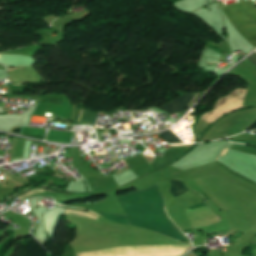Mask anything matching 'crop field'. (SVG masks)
I'll use <instances>...</instances> for the list:
<instances>
[{
    "mask_svg": "<svg viewBox=\"0 0 256 256\" xmlns=\"http://www.w3.org/2000/svg\"><path fill=\"white\" fill-rule=\"evenodd\" d=\"M117 198L129 224L146 227L179 240L190 242L177 230L164 213L163 198L156 184H153L150 188Z\"/></svg>",
    "mask_w": 256,
    "mask_h": 256,
    "instance_id": "crop-field-1",
    "label": "crop field"
},
{
    "mask_svg": "<svg viewBox=\"0 0 256 256\" xmlns=\"http://www.w3.org/2000/svg\"><path fill=\"white\" fill-rule=\"evenodd\" d=\"M238 32L256 46V7L246 0L223 9Z\"/></svg>",
    "mask_w": 256,
    "mask_h": 256,
    "instance_id": "crop-field-2",
    "label": "crop field"
},
{
    "mask_svg": "<svg viewBox=\"0 0 256 256\" xmlns=\"http://www.w3.org/2000/svg\"><path fill=\"white\" fill-rule=\"evenodd\" d=\"M194 95L185 94L178 99L164 105L162 108L168 114L184 111Z\"/></svg>",
    "mask_w": 256,
    "mask_h": 256,
    "instance_id": "crop-field-3",
    "label": "crop field"
},
{
    "mask_svg": "<svg viewBox=\"0 0 256 256\" xmlns=\"http://www.w3.org/2000/svg\"><path fill=\"white\" fill-rule=\"evenodd\" d=\"M166 143H182L170 130L158 134Z\"/></svg>",
    "mask_w": 256,
    "mask_h": 256,
    "instance_id": "crop-field-4",
    "label": "crop field"
},
{
    "mask_svg": "<svg viewBox=\"0 0 256 256\" xmlns=\"http://www.w3.org/2000/svg\"><path fill=\"white\" fill-rule=\"evenodd\" d=\"M97 214H99L109 220H113V221L119 222L121 224L128 225L125 215H114V214H106V213H97Z\"/></svg>",
    "mask_w": 256,
    "mask_h": 256,
    "instance_id": "crop-field-5",
    "label": "crop field"
},
{
    "mask_svg": "<svg viewBox=\"0 0 256 256\" xmlns=\"http://www.w3.org/2000/svg\"><path fill=\"white\" fill-rule=\"evenodd\" d=\"M171 184L173 185V187L170 192L172 193V195L174 197L187 191V189H185L183 187V185L181 184V182H179V181H171Z\"/></svg>",
    "mask_w": 256,
    "mask_h": 256,
    "instance_id": "crop-field-6",
    "label": "crop field"
},
{
    "mask_svg": "<svg viewBox=\"0 0 256 256\" xmlns=\"http://www.w3.org/2000/svg\"><path fill=\"white\" fill-rule=\"evenodd\" d=\"M247 60H249L251 63H253L256 67V52L253 53L252 55H250L248 58H246Z\"/></svg>",
    "mask_w": 256,
    "mask_h": 256,
    "instance_id": "crop-field-7",
    "label": "crop field"
},
{
    "mask_svg": "<svg viewBox=\"0 0 256 256\" xmlns=\"http://www.w3.org/2000/svg\"><path fill=\"white\" fill-rule=\"evenodd\" d=\"M227 149H225V151H226ZM225 151L223 152V154L225 153Z\"/></svg>",
    "mask_w": 256,
    "mask_h": 256,
    "instance_id": "crop-field-8",
    "label": "crop field"
}]
</instances>
